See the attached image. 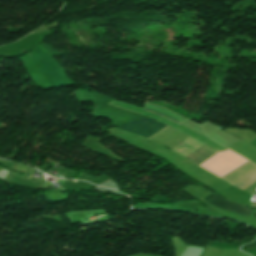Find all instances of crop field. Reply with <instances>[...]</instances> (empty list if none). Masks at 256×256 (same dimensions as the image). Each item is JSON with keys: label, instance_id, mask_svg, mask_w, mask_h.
Masks as SVG:
<instances>
[{"label": "crop field", "instance_id": "8a807250", "mask_svg": "<svg viewBox=\"0 0 256 256\" xmlns=\"http://www.w3.org/2000/svg\"><path fill=\"white\" fill-rule=\"evenodd\" d=\"M163 126L164 125L152 119L142 117L138 120L121 125L118 127V129L142 135L148 138ZM201 145L203 144L189 138L178 146L174 147L172 150L185 156ZM210 149L203 145L185 157L198 164L216 153ZM223 179L242 189L256 179V166L247 160L228 175H226Z\"/></svg>", "mask_w": 256, "mask_h": 256}, {"label": "crop field", "instance_id": "ac0d7876", "mask_svg": "<svg viewBox=\"0 0 256 256\" xmlns=\"http://www.w3.org/2000/svg\"><path fill=\"white\" fill-rule=\"evenodd\" d=\"M205 200H207L211 204H213V205H215V206H217V207H219L223 210L234 212V213H237V214H241V215H244L246 217H249V215L252 212V209L242 207L238 204H234V203H230L228 201H225L221 197L216 196L213 193L210 194L208 197H206Z\"/></svg>", "mask_w": 256, "mask_h": 256}, {"label": "crop field", "instance_id": "34b2d1b8", "mask_svg": "<svg viewBox=\"0 0 256 256\" xmlns=\"http://www.w3.org/2000/svg\"><path fill=\"white\" fill-rule=\"evenodd\" d=\"M143 110H147V111L153 112L155 114L161 115V116L166 117L178 124L187 120L185 118H182L176 114H173V113H171L161 107L155 106V105L145 104Z\"/></svg>", "mask_w": 256, "mask_h": 256}, {"label": "crop field", "instance_id": "412701ff", "mask_svg": "<svg viewBox=\"0 0 256 256\" xmlns=\"http://www.w3.org/2000/svg\"><path fill=\"white\" fill-rule=\"evenodd\" d=\"M221 256H249L237 250H224Z\"/></svg>", "mask_w": 256, "mask_h": 256}, {"label": "crop field", "instance_id": "f4fd0767", "mask_svg": "<svg viewBox=\"0 0 256 256\" xmlns=\"http://www.w3.org/2000/svg\"><path fill=\"white\" fill-rule=\"evenodd\" d=\"M251 206H253V205H251ZM253 207H255V208H256V206H253Z\"/></svg>", "mask_w": 256, "mask_h": 256}]
</instances>
